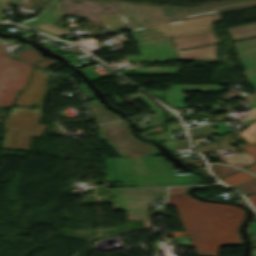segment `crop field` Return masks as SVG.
I'll use <instances>...</instances> for the list:
<instances>
[{
    "instance_id": "obj_1",
    "label": "crop field",
    "mask_w": 256,
    "mask_h": 256,
    "mask_svg": "<svg viewBox=\"0 0 256 256\" xmlns=\"http://www.w3.org/2000/svg\"><path fill=\"white\" fill-rule=\"evenodd\" d=\"M168 205L178 209L185 232L166 236L180 238L181 245L195 247L199 256H217L219 246L242 245L238 228L245 214L238 207L200 202L188 194L168 195Z\"/></svg>"
},
{
    "instance_id": "obj_2",
    "label": "crop field",
    "mask_w": 256,
    "mask_h": 256,
    "mask_svg": "<svg viewBox=\"0 0 256 256\" xmlns=\"http://www.w3.org/2000/svg\"><path fill=\"white\" fill-rule=\"evenodd\" d=\"M107 180L116 182L190 179L192 174H175L174 169L162 157L106 159Z\"/></svg>"
},
{
    "instance_id": "obj_3",
    "label": "crop field",
    "mask_w": 256,
    "mask_h": 256,
    "mask_svg": "<svg viewBox=\"0 0 256 256\" xmlns=\"http://www.w3.org/2000/svg\"><path fill=\"white\" fill-rule=\"evenodd\" d=\"M40 119L41 110L13 107L5 123L3 149L29 151L31 136L42 137L47 128L38 123Z\"/></svg>"
},
{
    "instance_id": "obj_4",
    "label": "crop field",
    "mask_w": 256,
    "mask_h": 256,
    "mask_svg": "<svg viewBox=\"0 0 256 256\" xmlns=\"http://www.w3.org/2000/svg\"><path fill=\"white\" fill-rule=\"evenodd\" d=\"M32 67L27 62L13 61L0 50V107L11 106L17 91L26 85Z\"/></svg>"
},
{
    "instance_id": "obj_5",
    "label": "crop field",
    "mask_w": 256,
    "mask_h": 256,
    "mask_svg": "<svg viewBox=\"0 0 256 256\" xmlns=\"http://www.w3.org/2000/svg\"><path fill=\"white\" fill-rule=\"evenodd\" d=\"M177 58L178 59H202V58H215L216 45L218 43L213 31L190 35L185 37H179L171 39ZM215 44L210 46H205L201 48L191 49V50H177V49H187L191 47L203 46Z\"/></svg>"
},
{
    "instance_id": "obj_6",
    "label": "crop field",
    "mask_w": 256,
    "mask_h": 256,
    "mask_svg": "<svg viewBox=\"0 0 256 256\" xmlns=\"http://www.w3.org/2000/svg\"><path fill=\"white\" fill-rule=\"evenodd\" d=\"M152 196L113 197L114 210L126 212L127 220H144L146 228L151 227L148 210L145 203Z\"/></svg>"
},
{
    "instance_id": "obj_7",
    "label": "crop field",
    "mask_w": 256,
    "mask_h": 256,
    "mask_svg": "<svg viewBox=\"0 0 256 256\" xmlns=\"http://www.w3.org/2000/svg\"><path fill=\"white\" fill-rule=\"evenodd\" d=\"M48 75V73L34 68L29 86L18 96L15 105L30 106L34 104L37 105L36 109H41Z\"/></svg>"
},
{
    "instance_id": "obj_8",
    "label": "crop field",
    "mask_w": 256,
    "mask_h": 256,
    "mask_svg": "<svg viewBox=\"0 0 256 256\" xmlns=\"http://www.w3.org/2000/svg\"><path fill=\"white\" fill-rule=\"evenodd\" d=\"M138 49L144 57L128 55L124 56L125 60L156 61L177 59L170 39L140 44Z\"/></svg>"
},
{
    "instance_id": "obj_9",
    "label": "crop field",
    "mask_w": 256,
    "mask_h": 256,
    "mask_svg": "<svg viewBox=\"0 0 256 256\" xmlns=\"http://www.w3.org/2000/svg\"><path fill=\"white\" fill-rule=\"evenodd\" d=\"M200 179L190 180H168V181H146L136 183H122L123 187H135V186H159V185H183V184H197Z\"/></svg>"
},
{
    "instance_id": "obj_10",
    "label": "crop field",
    "mask_w": 256,
    "mask_h": 256,
    "mask_svg": "<svg viewBox=\"0 0 256 256\" xmlns=\"http://www.w3.org/2000/svg\"><path fill=\"white\" fill-rule=\"evenodd\" d=\"M232 40L255 36L256 35V23L231 27L227 29Z\"/></svg>"
},
{
    "instance_id": "obj_11",
    "label": "crop field",
    "mask_w": 256,
    "mask_h": 256,
    "mask_svg": "<svg viewBox=\"0 0 256 256\" xmlns=\"http://www.w3.org/2000/svg\"><path fill=\"white\" fill-rule=\"evenodd\" d=\"M256 178L250 174L245 173L244 171H240L238 173H235L233 175H230L226 178L221 179L223 182L228 184L229 186L233 187L235 185L241 184L245 181H248L250 179Z\"/></svg>"
},
{
    "instance_id": "obj_12",
    "label": "crop field",
    "mask_w": 256,
    "mask_h": 256,
    "mask_svg": "<svg viewBox=\"0 0 256 256\" xmlns=\"http://www.w3.org/2000/svg\"><path fill=\"white\" fill-rule=\"evenodd\" d=\"M191 137L215 135L213 124L188 129Z\"/></svg>"
},
{
    "instance_id": "obj_13",
    "label": "crop field",
    "mask_w": 256,
    "mask_h": 256,
    "mask_svg": "<svg viewBox=\"0 0 256 256\" xmlns=\"http://www.w3.org/2000/svg\"><path fill=\"white\" fill-rule=\"evenodd\" d=\"M16 54L19 55L18 57L25 59L31 63H34V62L44 59L39 55V53L36 50H34L32 48L24 50V51L16 53Z\"/></svg>"
},
{
    "instance_id": "obj_14",
    "label": "crop field",
    "mask_w": 256,
    "mask_h": 256,
    "mask_svg": "<svg viewBox=\"0 0 256 256\" xmlns=\"http://www.w3.org/2000/svg\"><path fill=\"white\" fill-rule=\"evenodd\" d=\"M210 166L212 168L213 173L218 178L237 171L236 169L226 167V166H223V165H210Z\"/></svg>"
},
{
    "instance_id": "obj_15",
    "label": "crop field",
    "mask_w": 256,
    "mask_h": 256,
    "mask_svg": "<svg viewBox=\"0 0 256 256\" xmlns=\"http://www.w3.org/2000/svg\"><path fill=\"white\" fill-rule=\"evenodd\" d=\"M234 189L242 194L256 191V179L248 181L242 185L236 186L234 187Z\"/></svg>"
},
{
    "instance_id": "obj_16",
    "label": "crop field",
    "mask_w": 256,
    "mask_h": 256,
    "mask_svg": "<svg viewBox=\"0 0 256 256\" xmlns=\"http://www.w3.org/2000/svg\"><path fill=\"white\" fill-rule=\"evenodd\" d=\"M240 135L249 143L256 142V123L249 126V128L244 132L240 133Z\"/></svg>"
},
{
    "instance_id": "obj_17",
    "label": "crop field",
    "mask_w": 256,
    "mask_h": 256,
    "mask_svg": "<svg viewBox=\"0 0 256 256\" xmlns=\"http://www.w3.org/2000/svg\"><path fill=\"white\" fill-rule=\"evenodd\" d=\"M182 143H185V144H182ZM161 144L164 145L167 149H169L173 153H175L174 149H176V148L188 146L185 139L176 140V141H169V142H163Z\"/></svg>"
},
{
    "instance_id": "obj_18",
    "label": "crop field",
    "mask_w": 256,
    "mask_h": 256,
    "mask_svg": "<svg viewBox=\"0 0 256 256\" xmlns=\"http://www.w3.org/2000/svg\"><path fill=\"white\" fill-rule=\"evenodd\" d=\"M152 115L154 116L156 123L143 125V126H141L142 129L164 125V113L163 112L154 113Z\"/></svg>"
},
{
    "instance_id": "obj_19",
    "label": "crop field",
    "mask_w": 256,
    "mask_h": 256,
    "mask_svg": "<svg viewBox=\"0 0 256 256\" xmlns=\"http://www.w3.org/2000/svg\"><path fill=\"white\" fill-rule=\"evenodd\" d=\"M59 62L58 60H53V59H46V60H43V61H40L38 63H35L36 65H38L39 67L45 69L55 63Z\"/></svg>"
},
{
    "instance_id": "obj_20",
    "label": "crop field",
    "mask_w": 256,
    "mask_h": 256,
    "mask_svg": "<svg viewBox=\"0 0 256 256\" xmlns=\"http://www.w3.org/2000/svg\"><path fill=\"white\" fill-rule=\"evenodd\" d=\"M196 149L199 150L201 153H204V152L219 149V145H218V143H215V144H211V145H207V146H203V147H198Z\"/></svg>"
},
{
    "instance_id": "obj_21",
    "label": "crop field",
    "mask_w": 256,
    "mask_h": 256,
    "mask_svg": "<svg viewBox=\"0 0 256 256\" xmlns=\"http://www.w3.org/2000/svg\"><path fill=\"white\" fill-rule=\"evenodd\" d=\"M242 150L254 155L256 157V144L247 145V146H240Z\"/></svg>"
},
{
    "instance_id": "obj_22",
    "label": "crop field",
    "mask_w": 256,
    "mask_h": 256,
    "mask_svg": "<svg viewBox=\"0 0 256 256\" xmlns=\"http://www.w3.org/2000/svg\"><path fill=\"white\" fill-rule=\"evenodd\" d=\"M189 187H172L169 189V194H173V193H186V190Z\"/></svg>"
},
{
    "instance_id": "obj_23",
    "label": "crop field",
    "mask_w": 256,
    "mask_h": 256,
    "mask_svg": "<svg viewBox=\"0 0 256 256\" xmlns=\"http://www.w3.org/2000/svg\"><path fill=\"white\" fill-rule=\"evenodd\" d=\"M248 234L252 236H256V222L255 223H250L247 227Z\"/></svg>"
},
{
    "instance_id": "obj_24",
    "label": "crop field",
    "mask_w": 256,
    "mask_h": 256,
    "mask_svg": "<svg viewBox=\"0 0 256 256\" xmlns=\"http://www.w3.org/2000/svg\"><path fill=\"white\" fill-rule=\"evenodd\" d=\"M187 165L194 163L190 156L180 158ZM193 165V164H192Z\"/></svg>"
},
{
    "instance_id": "obj_25",
    "label": "crop field",
    "mask_w": 256,
    "mask_h": 256,
    "mask_svg": "<svg viewBox=\"0 0 256 256\" xmlns=\"http://www.w3.org/2000/svg\"><path fill=\"white\" fill-rule=\"evenodd\" d=\"M249 199H250V201H251V203L255 206V208H256V194H254V195H250V196H247Z\"/></svg>"
},
{
    "instance_id": "obj_26",
    "label": "crop field",
    "mask_w": 256,
    "mask_h": 256,
    "mask_svg": "<svg viewBox=\"0 0 256 256\" xmlns=\"http://www.w3.org/2000/svg\"><path fill=\"white\" fill-rule=\"evenodd\" d=\"M246 169L252 171L253 173H256V164H254L253 166H250V167H248Z\"/></svg>"
},
{
    "instance_id": "obj_27",
    "label": "crop field",
    "mask_w": 256,
    "mask_h": 256,
    "mask_svg": "<svg viewBox=\"0 0 256 256\" xmlns=\"http://www.w3.org/2000/svg\"><path fill=\"white\" fill-rule=\"evenodd\" d=\"M253 109L252 113L250 114V117L256 116V106L251 107Z\"/></svg>"
},
{
    "instance_id": "obj_28",
    "label": "crop field",
    "mask_w": 256,
    "mask_h": 256,
    "mask_svg": "<svg viewBox=\"0 0 256 256\" xmlns=\"http://www.w3.org/2000/svg\"><path fill=\"white\" fill-rule=\"evenodd\" d=\"M167 118H168V120H171V119H174L175 116L171 113H167Z\"/></svg>"
},
{
    "instance_id": "obj_29",
    "label": "crop field",
    "mask_w": 256,
    "mask_h": 256,
    "mask_svg": "<svg viewBox=\"0 0 256 256\" xmlns=\"http://www.w3.org/2000/svg\"><path fill=\"white\" fill-rule=\"evenodd\" d=\"M200 171H201L202 173H204L205 175H207L208 177H210L209 174L206 172V170H205L204 168H200Z\"/></svg>"
},
{
    "instance_id": "obj_30",
    "label": "crop field",
    "mask_w": 256,
    "mask_h": 256,
    "mask_svg": "<svg viewBox=\"0 0 256 256\" xmlns=\"http://www.w3.org/2000/svg\"><path fill=\"white\" fill-rule=\"evenodd\" d=\"M251 256H256V248L251 249Z\"/></svg>"
},
{
    "instance_id": "obj_31",
    "label": "crop field",
    "mask_w": 256,
    "mask_h": 256,
    "mask_svg": "<svg viewBox=\"0 0 256 256\" xmlns=\"http://www.w3.org/2000/svg\"><path fill=\"white\" fill-rule=\"evenodd\" d=\"M234 166H236V167H240V168H243V167H245V166H243V165H241V164H239V163H237L236 165H234ZM246 168V167H245Z\"/></svg>"
}]
</instances>
